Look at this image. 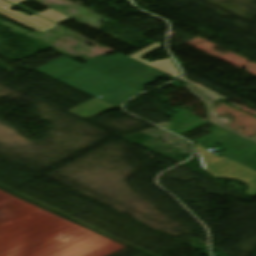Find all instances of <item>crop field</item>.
I'll list each match as a JSON object with an SVG mask.
<instances>
[{"label":"crop field","instance_id":"ac0d7876","mask_svg":"<svg viewBox=\"0 0 256 256\" xmlns=\"http://www.w3.org/2000/svg\"><path fill=\"white\" fill-rule=\"evenodd\" d=\"M205 171L215 178L239 179L251 188L246 193L256 196V171L226 157H217L204 147L195 145Z\"/></svg>","mask_w":256,"mask_h":256},{"label":"crop field","instance_id":"8a807250","mask_svg":"<svg viewBox=\"0 0 256 256\" xmlns=\"http://www.w3.org/2000/svg\"><path fill=\"white\" fill-rule=\"evenodd\" d=\"M70 61H72L73 63L67 65V63ZM82 66L84 65L67 57H64L35 70L46 74L54 79H57ZM59 81L71 87H74L88 95L94 97L101 96L103 97L101 98L102 100L116 107L120 106L128 97L140 92V90L132 88L117 80H114L88 66L60 79ZM119 85L122 86L103 95L100 94Z\"/></svg>","mask_w":256,"mask_h":256},{"label":"crop field","instance_id":"d8731c3e","mask_svg":"<svg viewBox=\"0 0 256 256\" xmlns=\"http://www.w3.org/2000/svg\"><path fill=\"white\" fill-rule=\"evenodd\" d=\"M115 108L116 107L95 98L67 112L81 119L87 120Z\"/></svg>","mask_w":256,"mask_h":256},{"label":"crop field","instance_id":"5a996713","mask_svg":"<svg viewBox=\"0 0 256 256\" xmlns=\"http://www.w3.org/2000/svg\"><path fill=\"white\" fill-rule=\"evenodd\" d=\"M161 46H162L161 44L156 43V44H154V45H152V46H150V47H148V48H146V49H144V50H142V51H140V52H138L134 55H131L129 57H131L135 60H138V61H140V62H142L146 65H149V66H151V67H153V68H155L159 71H162V72H164V73H166L170 76H173L175 78H180V73L177 70V68L174 66V64L172 63L170 58L162 59L160 61H155L153 63H149L145 60L140 59L141 56H143V55H145V54H147V53H149V52H151V51H153V50H155V49H157Z\"/></svg>","mask_w":256,"mask_h":256},{"label":"crop field","instance_id":"e52e79f7","mask_svg":"<svg viewBox=\"0 0 256 256\" xmlns=\"http://www.w3.org/2000/svg\"><path fill=\"white\" fill-rule=\"evenodd\" d=\"M163 76L165 75L146 66L118 80L139 89Z\"/></svg>","mask_w":256,"mask_h":256},{"label":"crop field","instance_id":"34b2d1b8","mask_svg":"<svg viewBox=\"0 0 256 256\" xmlns=\"http://www.w3.org/2000/svg\"><path fill=\"white\" fill-rule=\"evenodd\" d=\"M211 134L196 140L201 145L210 146L220 144L228 150L221 153L247 167L256 170V156L252 155L256 152V145L244 140L234 134H231L217 126L210 129Z\"/></svg>","mask_w":256,"mask_h":256},{"label":"crop field","instance_id":"3316defc","mask_svg":"<svg viewBox=\"0 0 256 256\" xmlns=\"http://www.w3.org/2000/svg\"><path fill=\"white\" fill-rule=\"evenodd\" d=\"M63 8L61 7H54L50 10H47L45 12L36 14L39 15L45 19H48L54 23L62 22L65 20H68L69 17L63 12Z\"/></svg>","mask_w":256,"mask_h":256},{"label":"crop field","instance_id":"f4fd0767","mask_svg":"<svg viewBox=\"0 0 256 256\" xmlns=\"http://www.w3.org/2000/svg\"><path fill=\"white\" fill-rule=\"evenodd\" d=\"M15 6L14 4L7 2L5 0H0V14L4 15L22 25L33 27L37 31L42 32L49 30L55 27L57 24H54L48 20H45L39 16L33 15L28 17L20 12H15L9 8Z\"/></svg>","mask_w":256,"mask_h":256},{"label":"crop field","instance_id":"412701ff","mask_svg":"<svg viewBox=\"0 0 256 256\" xmlns=\"http://www.w3.org/2000/svg\"><path fill=\"white\" fill-rule=\"evenodd\" d=\"M84 65H88L114 79H118L126 74L146 66L121 53L111 58L101 56Z\"/></svg>","mask_w":256,"mask_h":256},{"label":"crop field","instance_id":"dd49c442","mask_svg":"<svg viewBox=\"0 0 256 256\" xmlns=\"http://www.w3.org/2000/svg\"><path fill=\"white\" fill-rule=\"evenodd\" d=\"M194 95H196L198 98L202 99L205 103L206 109H207V113H208V119L210 122H212L213 124L227 130L230 131L232 133L238 134L244 138H247L253 142H256V136L253 137H246L240 133H238L237 131L233 130L232 128L226 126L225 124H229L231 123V119L229 118H218V115L216 113V111L212 108V104L211 102L213 101H217V100H221L222 98L213 95L211 93H208L200 88H196V87H192L191 85L187 84L185 85Z\"/></svg>","mask_w":256,"mask_h":256},{"label":"crop field","instance_id":"28ad6ade","mask_svg":"<svg viewBox=\"0 0 256 256\" xmlns=\"http://www.w3.org/2000/svg\"><path fill=\"white\" fill-rule=\"evenodd\" d=\"M8 1L13 2V3L18 5V4H20L22 2H25V1H28V0H8Z\"/></svg>","mask_w":256,"mask_h":256}]
</instances>
